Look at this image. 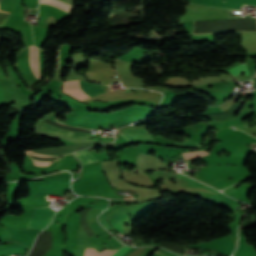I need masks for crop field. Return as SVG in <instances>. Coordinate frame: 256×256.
I'll use <instances>...</instances> for the list:
<instances>
[{"label":"crop field","mask_w":256,"mask_h":256,"mask_svg":"<svg viewBox=\"0 0 256 256\" xmlns=\"http://www.w3.org/2000/svg\"><path fill=\"white\" fill-rule=\"evenodd\" d=\"M254 78H256V77H254Z\"/></svg>","instance_id":"crop-field-22"},{"label":"crop field","mask_w":256,"mask_h":256,"mask_svg":"<svg viewBox=\"0 0 256 256\" xmlns=\"http://www.w3.org/2000/svg\"><path fill=\"white\" fill-rule=\"evenodd\" d=\"M176 145H183V146H193V147H200L199 144L194 143L190 140H186L183 143L175 142Z\"/></svg>","instance_id":"crop-field-15"},{"label":"crop field","mask_w":256,"mask_h":256,"mask_svg":"<svg viewBox=\"0 0 256 256\" xmlns=\"http://www.w3.org/2000/svg\"><path fill=\"white\" fill-rule=\"evenodd\" d=\"M227 32V31H226ZM256 32V31H255ZM218 33V32H217Z\"/></svg>","instance_id":"crop-field-21"},{"label":"crop field","mask_w":256,"mask_h":256,"mask_svg":"<svg viewBox=\"0 0 256 256\" xmlns=\"http://www.w3.org/2000/svg\"><path fill=\"white\" fill-rule=\"evenodd\" d=\"M54 211L55 210L49 209L48 207L36 209V211L34 212L32 218H31L28 228H42L43 229L47 225L48 220Z\"/></svg>","instance_id":"crop-field-2"},{"label":"crop field","mask_w":256,"mask_h":256,"mask_svg":"<svg viewBox=\"0 0 256 256\" xmlns=\"http://www.w3.org/2000/svg\"><path fill=\"white\" fill-rule=\"evenodd\" d=\"M252 144H256V143H252Z\"/></svg>","instance_id":"crop-field-20"},{"label":"crop field","mask_w":256,"mask_h":256,"mask_svg":"<svg viewBox=\"0 0 256 256\" xmlns=\"http://www.w3.org/2000/svg\"><path fill=\"white\" fill-rule=\"evenodd\" d=\"M26 152H31V151H26Z\"/></svg>","instance_id":"crop-field-18"},{"label":"crop field","mask_w":256,"mask_h":256,"mask_svg":"<svg viewBox=\"0 0 256 256\" xmlns=\"http://www.w3.org/2000/svg\"><path fill=\"white\" fill-rule=\"evenodd\" d=\"M125 245H123L121 248H123ZM120 249V248H119ZM130 249V247L126 246L125 248L121 249V250H114L112 251H108V250H104L100 253H98L95 249L92 248H88L85 251L84 256H122L123 254H125L128 250Z\"/></svg>","instance_id":"crop-field-3"},{"label":"crop field","mask_w":256,"mask_h":256,"mask_svg":"<svg viewBox=\"0 0 256 256\" xmlns=\"http://www.w3.org/2000/svg\"><path fill=\"white\" fill-rule=\"evenodd\" d=\"M206 154H209V153H207L205 151H201V152L187 153V154H184V155H185L186 159H189V158L200 157V156H203V155H206ZM184 155H183V158H184Z\"/></svg>","instance_id":"crop-field-12"},{"label":"crop field","mask_w":256,"mask_h":256,"mask_svg":"<svg viewBox=\"0 0 256 256\" xmlns=\"http://www.w3.org/2000/svg\"><path fill=\"white\" fill-rule=\"evenodd\" d=\"M192 3L234 11L241 7V3L256 5V0H226L225 2H222V0H193ZM245 4H242V6Z\"/></svg>","instance_id":"crop-field-1"},{"label":"crop field","mask_w":256,"mask_h":256,"mask_svg":"<svg viewBox=\"0 0 256 256\" xmlns=\"http://www.w3.org/2000/svg\"><path fill=\"white\" fill-rule=\"evenodd\" d=\"M133 210H135V209H132V210H129V211H126V212H122V213H119V214H116V215H112V216H109L107 218L109 219V222H110V224L112 225L113 228H115L118 231H122L124 233L121 225H122L126 215L129 212L133 211Z\"/></svg>","instance_id":"crop-field-6"},{"label":"crop field","mask_w":256,"mask_h":256,"mask_svg":"<svg viewBox=\"0 0 256 256\" xmlns=\"http://www.w3.org/2000/svg\"><path fill=\"white\" fill-rule=\"evenodd\" d=\"M100 221H101V223H102L107 229L110 228L109 225H108V223H107V220H106V218H105V213L101 216Z\"/></svg>","instance_id":"crop-field-16"},{"label":"crop field","mask_w":256,"mask_h":256,"mask_svg":"<svg viewBox=\"0 0 256 256\" xmlns=\"http://www.w3.org/2000/svg\"><path fill=\"white\" fill-rule=\"evenodd\" d=\"M30 66L35 78L39 77L38 49L35 46H30Z\"/></svg>","instance_id":"crop-field-7"},{"label":"crop field","mask_w":256,"mask_h":256,"mask_svg":"<svg viewBox=\"0 0 256 256\" xmlns=\"http://www.w3.org/2000/svg\"><path fill=\"white\" fill-rule=\"evenodd\" d=\"M11 248L0 251V256L25 253L27 248L18 244H10Z\"/></svg>","instance_id":"crop-field-8"},{"label":"crop field","mask_w":256,"mask_h":256,"mask_svg":"<svg viewBox=\"0 0 256 256\" xmlns=\"http://www.w3.org/2000/svg\"><path fill=\"white\" fill-rule=\"evenodd\" d=\"M41 130L46 131V132L58 133V134H61V135H66V136H72V137H93V136H96L95 134L68 132V131L61 130V129L55 128L53 126L47 125L45 123L42 124Z\"/></svg>","instance_id":"crop-field-4"},{"label":"crop field","mask_w":256,"mask_h":256,"mask_svg":"<svg viewBox=\"0 0 256 256\" xmlns=\"http://www.w3.org/2000/svg\"><path fill=\"white\" fill-rule=\"evenodd\" d=\"M127 140L130 139H150L154 140L149 134H143V133H131V134H120Z\"/></svg>","instance_id":"crop-field-10"},{"label":"crop field","mask_w":256,"mask_h":256,"mask_svg":"<svg viewBox=\"0 0 256 256\" xmlns=\"http://www.w3.org/2000/svg\"><path fill=\"white\" fill-rule=\"evenodd\" d=\"M227 71L230 72L231 74H233L234 76L238 75V73H240V72H244L245 75L249 74L245 63L240 64L236 67H233Z\"/></svg>","instance_id":"crop-field-11"},{"label":"crop field","mask_w":256,"mask_h":256,"mask_svg":"<svg viewBox=\"0 0 256 256\" xmlns=\"http://www.w3.org/2000/svg\"><path fill=\"white\" fill-rule=\"evenodd\" d=\"M79 89L87 96L92 97L96 94L105 92L100 85L90 84L85 81H79Z\"/></svg>","instance_id":"crop-field-5"},{"label":"crop field","mask_w":256,"mask_h":256,"mask_svg":"<svg viewBox=\"0 0 256 256\" xmlns=\"http://www.w3.org/2000/svg\"><path fill=\"white\" fill-rule=\"evenodd\" d=\"M124 132H147L146 129H128L124 130Z\"/></svg>","instance_id":"crop-field-17"},{"label":"crop field","mask_w":256,"mask_h":256,"mask_svg":"<svg viewBox=\"0 0 256 256\" xmlns=\"http://www.w3.org/2000/svg\"><path fill=\"white\" fill-rule=\"evenodd\" d=\"M75 155L79 157L84 164L96 162V160L88 153L87 149L77 151Z\"/></svg>","instance_id":"crop-field-9"},{"label":"crop field","mask_w":256,"mask_h":256,"mask_svg":"<svg viewBox=\"0 0 256 256\" xmlns=\"http://www.w3.org/2000/svg\"><path fill=\"white\" fill-rule=\"evenodd\" d=\"M0 12H2V11H0ZM4 13H6V12H4ZM9 14V13H8Z\"/></svg>","instance_id":"crop-field-19"},{"label":"crop field","mask_w":256,"mask_h":256,"mask_svg":"<svg viewBox=\"0 0 256 256\" xmlns=\"http://www.w3.org/2000/svg\"><path fill=\"white\" fill-rule=\"evenodd\" d=\"M153 256H178V255H175V254H172L166 250H163V249H158L155 254Z\"/></svg>","instance_id":"crop-field-14"},{"label":"crop field","mask_w":256,"mask_h":256,"mask_svg":"<svg viewBox=\"0 0 256 256\" xmlns=\"http://www.w3.org/2000/svg\"><path fill=\"white\" fill-rule=\"evenodd\" d=\"M178 176H179V177H183V178L189 179L188 185L210 188V187H208V186H206V185H203V184H201V183H199V182H197V181H195V180H191L190 178L185 177V176H183V175H180V174H179ZM211 189H212V188H211ZM213 190H214V189H213ZM214 191H216V190H214Z\"/></svg>","instance_id":"crop-field-13"}]
</instances>
